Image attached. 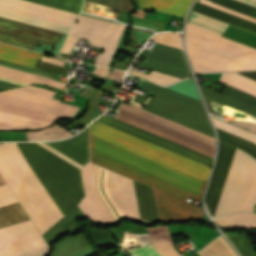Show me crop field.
Masks as SVG:
<instances>
[{"mask_svg":"<svg viewBox=\"0 0 256 256\" xmlns=\"http://www.w3.org/2000/svg\"><path fill=\"white\" fill-rule=\"evenodd\" d=\"M90 134L178 171L207 181V166L95 122ZM90 135V160L153 186L160 220L201 219L203 210L187 201L200 200L206 183Z\"/></svg>","mask_w":256,"mask_h":256,"instance_id":"obj_1","label":"crop field"},{"mask_svg":"<svg viewBox=\"0 0 256 256\" xmlns=\"http://www.w3.org/2000/svg\"><path fill=\"white\" fill-rule=\"evenodd\" d=\"M17 145L65 216L84 196L79 169L35 143ZM17 145H0V173L43 234L64 216Z\"/></svg>","mask_w":256,"mask_h":256,"instance_id":"obj_2","label":"crop field"},{"mask_svg":"<svg viewBox=\"0 0 256 256\" xmlns=\"http://www.w3.org/2000/svg\"><path fill=\"white\" fill-rule=\"evenodd\" d=\"M141 87L154 92L156 96L205 115L202 103L198 100L146 81L143 82ZM156 96L148 102L144 110L215 137L212 127L207 117H205L206 115H200ZM144 110L122 103L116 119L195 149L211 157L214 156V138ZM116 119L105 115L98 122L211 167L213 158Z\"/></svg>","mask_w":256,"mask_h":256,"instance_id":"obj_3","label":"crop field"},{"mask_svg":"<svg viewBox=\"0 0 256 256\" xmlns=\"http://www.w3.org/2000/svg\"><path fill=\"white\" fill-rule=\"evenodd\" d=\"M236 148L220 142L218 157L205 203L213 218ZM256 204V160L236 150L214 217L253 212Z\"/></svg>","mask_w":256,"mask_h":256,"instance_id":"obj_4","label":"crop field"},{"mask_svg":"<svg viewBox=\"0 0 256 256\" xmlns=\"http://www.w3.org/2000/svg\"><path fill=\"white\" fill-rule=\"evenodd\" d=\"M185 46L196 72L256 70V49L188 24Z\"/></svg>","mask_w":256,"mask_h":256,"instance_id":"obj_5","label":"crop field"},{"mask_svg":"<svg viewBox=\"0 0 256 256\" xmlns=\"http://www.w3.org/2000/svg\"><path fill=\"white\" fill-rule=\"evenodd\" d=\"M133 182L141 221L159 220L152 188L134 180ZM133 182L129 178L107 170V192L122 216L124 219L140 221Z\"/></svg>","mask_w":256,"mask_h":256,"instance_id":"obj_6","label":"crop field"},{"mask_svg":"<svg viewBox=\"0 0 256 256\" xmlns=\"http://www.w3.org/2000/svg\"><path fill=\"white\" fill-rule=\"evenodd\" d=\"M41 239L31 220L0 229V251ZM43 239L0 252V256H47Z\"/></svg>","mask_w":256,"mask_h":256,"instance_id":"obj_7","label":"crop field"},{"mask_svg":"<svg viewBox=\"0 0 256 256\" xmlns=\"http://www.w3.org/2000/svg\"><path fill=\"white\" fill-rule=\"evenodd\" d=\"M78 19L71 34L85 37L93 46L105 49L98 55L96 64L107 67L125 28L81 15Z\"/></svg>","mask_w":256,"mask_h":256,"instance_id":"obj_8","label":"crop field"},{"mask_svg":"<svg viewBox=\"0 0 256 256\" xmlns=\"http://www.w3.org/2000/svg\"><path fill=\"white\" fill-rule=\"evenodd\" d=\"M62 33L0 17V41L34 49L37 42L55 47Z\"/></svg>","mask_w":256,"mask_h":256,"instance_id":"obj_9","label":"crop field"},{"mask_svg":"<svg viewBox=\"0 0 256 256\" xmlns=\"http://www.w3.org/2000/svg\"><path fill=\"white\" fill-rule=\"evenodd\" d=\"M80 172L85 193V197L79 203L82 212L88 219L98 224L114 223V218L101 200L96 189L98 167L87 162L80 169Z\"/></svg>","mask_w":256,"mask_h":256,"instance_id":"obj_10","label":"crop field"},{"mask_svg":"<svg viewBox=\"0 0 256 256\" xmlns=\"http://www.w3.org/2000/svg\"><path fill=\"white\" fill-rule=\"evenodd\" d=\"M0 94L51 106L50 110L45 115L46 118L56 119L61 116L73 117L79 109V107L51 99L54 94L53 91L33 86L4 91L0 92Z\"/></svg>","mask_w":256,"mask_h":256,"instance_id":"obj_11","label":"crop field"},{"mask_svg":"<svg viewBox=\"0 0 256 256\" xmlns=\"http://www.w3.org/2000/svg\"><path fill=\"white\" fill-rule=\"evenodd\" d=\"M0 8L35 16L72 26L77 14L26 2L23 0H0Z\"/></svg>","mask_w":256,"mask_h":256,"instance_id":"obj_12","label":"crop field"},{"mask_svg":"<svg viewBox=\"0 0 256 256\" xmlns=\"http://www.w3.org/2000/svg\"><path fill=\"white\" fill-rule=\"evenodd\" d=\"M199 87L204 95L256 116V97L229 86L222 94L200 84Z\"/></svg>","mask_w":256,"mask_h":256,"instance_id":"obj_13","label":"crop field"},{"mask_svg":"<svg viewBox=\"0 0 256 256\" xmlns=\"http://www.w3.org/2000/svg\"><path fill=\"white\" fill-rule=\"evenodd\" d=\"M49 108L48 106L0 95V111L53 123L55 120L43 118Z\"/></svg>","mask_w":256,"mask_h":256,"instance_id":"obj_14","label":"crop field"},{"mask_svg":"<svg viewBox=\"0 0 256 256\" xmlns=\"http://www.w3.org/2000/svg\"><path fill=\"white\" fill-rule=\"evenodd\" d=\"M1 185H5V182L0 177V186ZM12 202H16V199L14 198L8 187L6 185L1 186L0 206ZM25 220H29V217L26 215L18 202L0 207V228Z\"/></svg>","mask_w":256,"mask_h":256,"instance_id":"obj_15","label":"crop field"},{"mask_svg":"<svg viewBox=\"0 0 256 256\" xmlns=\"http://www.w3.org/2000/svg\"><path fill=\"white\" fill-rule=\"evenodd\" d=\"M46 144L83 166L88 161L87 129L69 140Z\"/></svg>","mask_w":256,"mask_h":256,"instance_id":"obj_16","label":"crop field"},{"mask_svg":"<svg viewBox=\"0 0 256 256\" xmlns=\"http://www.w3.org/2000/svg\"><path fill=\"white\" fill-rule=\"evenodd\" d=\"M43 53L0 43V59L35 68Z\"/></svg>","mask_w":256,"mask_h":256,"instance_id":"obj_17","label":"crop field"},{"mask_svg":"<svg viewBox=\"0 0 256 256\" xmlns=\"http://www.w3.org/2000/svg\"><path fill=\"white\" fill-rule=\"evenodd\" d=\"M191 1L192 0H138V6L184 17Z\"/></svg>","mask_w":256,"mask_h":256,"instance_id":"obj_18","label":"crop field"},{"mask_svg":"<svg viewBox=\"0 0 256 256\" xmlns=\"http://www.w3.org/2000/svg\"><path fill=\"white\" fill-rule=\"evenodd\" d=\"M193 10L199 13L205 14L207 16L216 18L218 20L224 21L231 25L237 26L239 28L256 33V24L240 19L238 17L232 16L230 14L224 13L222 11L216 10L214 8L208 7L206 5L200 4L198 2H196Z\"/></svg>","mask_w":256,"mask_h":256,"instance_id":"obj_19","label":"crop field"},{"mask_svg":"<svg viewBox=\"0 0 256 256\" xmlns=\"http://www.w3.org/2000/svg\"><path fill=\"white\" fill-rule=\"evenodd\" d=\"M154 248L161 256H181L172 245L168 227L147 229Z\"/></svg>","mask_w":256,"mask_h":256,"instance_id":"obj_20","label":"crop field"},{"mask_svg":"<svg viewBox=\"0 0 256 256\" xmlns=\"http://www.w3.org/2000/svg\"><path fill=\"white\" fill-rule=\"evenodd\" d=\"M48 125H50V123L0 112V130L1 129H38V128L46 127Z\"/></svg>","mask_w":256,"mask_h":256,"instance_id":"obj_21","label":"crop field"},{"mask_svg":"<svg viewBox=\"0 0 256 256\" xmlns=\"http://www.w3.org/2000/svg\"><path fill=\"white\" fill-rule=\"evenodd\" d=\"M0 77H4V78L16 80V81H20L28 84L42 82V83L57 86L63 89L65 85V83L63 82L55 81L52 79L40 77L37 75L29 74L26 72L14 70V69L3 67V66H0Z\"/></svg>","mask_w":256,"mask_h":256,"instance_id":"obj_22","label":"crop field"},{"mask_svg":"<svg viewBox=\"0 0 256 256\" xmlns=\"http://www.w3.org/2000/svg\"><path fill=\"white\" fill-rule=\"evenodd\" d=\"M0 16L5 17V18H9V19H13V20H17V21H20V22L28 23V24L40 26V27H43V28L63 32V33H66V34L68 33V31L70 29V26H66V25H62V24H58V23H54V22H50V21H46V20H42V19H38V18H35V17H31V16H27V15L15 13V12L3 10V9H0Z\"/></svg>","mask_w":256,"mask_h":256,"instance_id":"obj_23","label":"crop field"},{"mask_svg":"<svg viewBox=\"0 0 256 256\" xmlns=\"http://www.w3.org/2000/svg\"><path fill=\"white\" fill-rule=\"evenodd\" d=\"M219 81L256 96V82L237 73H222Z\"/></svg>","mask_w":256,"mask_h":256,"instance_id":"obj_24","label":"crop field"},{"mask_svg":"<svg viewBox=\"0 0 256 256\" xmlns=\"http://www.w3.org/2000/svg\"><path fill=\"white\" fill-rule=\"evenodd\" d=\"M215 221L224 228H256V215L234 214Z\"/></svg>","mask_w":256,"mask_h":256,"instance_id":"obj_25","label":"crop field"},{"mask_svg":"<svg viewBox=\"0 0 256 256\" xmlns=\"http://www.w3.org/2000/svg\"><path fill=\"white\" fill-rule=\"evenodd\" d=\"M26 134L28 140H53L66 138L73 135L56 124L45 130L29 131L26 132Z\"/></svg>","mask_w":256,"mask_h":256,"instance_id":"obj_26","label":"crop field"},{"mask_svg":"<svg viewBox=\"0 0 256 256\" xmlns=\"http://www.w3.org/2000/svg\"><path fill=\"white\" fill-rule=\"evenodd\" d=\"M46 6H50L53 8L79 13L82 0H26Z\"/></svg>","mask_w":256,"mask_h":256,"instance_id":"obj_27","label":"crop field"},{"mask_svg":"<svg viewBox=\"0 0 256 256\" xmlns=\"http://www.w3.org/2000/svg\"><path fill=\"white\" fill-rule=\"evenodd\" d=\"M216 131L218 133L220 141H223L225 143H228V144H231V145L236 146L238 148H241V149L247 151L248 153H250L252 156H254L256 158V145H254L250 142H247L243 139H240L238 137H235L233 135H230L228 133H225L221 130L216 129Z\"/></svg>","mask_w":256,"mask_h":256,"instance_id":"obj_28","label":"crop field"},{"mask_svg":"<svg viewBox=\"0 0 256 256\" xmlns=\"http://www.w3.org/2000/svg\"><path fill=\"white\" fill-rule=\"evenodd\" d=\"M211 119H212V122H213L215 127H218V128H220L222 130H225V131H227L229 133H232V134H234V135H236L238 137H241V138H243L245 140H248V141L256 144V135H254V134H252L250 132H247L245 130H242L240 128H237V127H235L233 125H230L228 123H225L223 121H220V120H218L216 118L211 117Z\"/></svg>","mask_w":256,"mask_h":256,"instance_id":"obj_29","label":"crop field"},{"mask_svg":"<svg viewBox=\"0 0 256 256\" xmlns=\"http://www.w3.org/2000/svg\"><path fill=\"white\" fill-rule=\"evenodd\" d=\"M195 23L201 24L203 26L209 27L211 29L217 30L219 32L224 33L225 30L228 28L229 24L220 22L218 20L209 18L207 16L198 14L196 12H192L191 17L189 19Z\"/></svg>","mask_w":256,"mask_h":256,"instance_id":"obj_30","label":"crop field"},{"mask_svg":"<svg viewBox=\"0 0 256 256\" xmlns=\"http://www.w3.org/2000/svg\"><path fill=\"white\" fill-rule=\"evenodd\" d=\"M151 41L182 50L180 34L177 33H160L153 36Z\"/></svg>","mask_w":256,"mask_h":256,"instance_id":"obj_31","label":"crop field"},{"mask_svg":"<svg viewBox=\"0 0 256 256\" xmlns=\"http://www.w3.org/2000/svg\"><path fill=\"white\" fill-rule=\"evenodd\" d=\"M129 73L144 77L146 79L152 80V81H154L158 84H161V85H168V84L175 83L179 80H182V79L167 76V75L160 74V73L153 72V71L150 73V75H147V74H144V73H141V72H137V71H133V70H130Z\"/></svg>","mask_w":256,"mask_h":256,"instance_id":"obj_32","label":"crop field"},{"mask_svg":"<svg viewBox=\"0 0 256 256\" xmlns=\"http://www.w3.org/2000/svg\"><path fill=\"white\" fill-rule=\"evenodd\" d=\"M133 256H160L151 245L127 247Z\"/></svg>","mask_w":256,"mask_h":256,"instance_id":"obj_33","label":"crop field"},{"mask_svg":"<svg viewBox=\"0 0 256 256\" xmlns=\"http://www.w3.org/2000/svg\"><path fill=\"white\" fill-rule=\"evenodd\" d=\"M0 65L16 68V69H19V70L35 73V74H38V75H42V76H46V77H50V78H54V79L57 76L56 74H52V73H48V72H44V71H40V70L28 68V67L16 65V64L4 62V61H0Z\"/></svg>","mask_w":256,"mask_h":256,"instance_id":"obj_34","label":"crop field"},{"mask_svg":"<svg viewBox=\"0 0 256 256\" xmlns=\"http://www.w3.org/2000/svg\"><path fill=\"white\" fill-rule=\"evenodd\" d=\"M207 1H208V0H207ZM207 1H205V0H199V2H202V3H204V4H207V5H210V6H212V7L221 9V10L226 11V12H229V13H231V14L240 16V17L245 18V19H248V20H250V21L256 22V19H254V18H251V17H248V16H246V15L240 14V13H238V12L229 10V9H227V8L218 6V5H216V4L210 3L211 1H210V2H207ZM239 1L248 3V4L253 5V6H256V1H254V0H239Z\"/></svg>","mask_w":256,"mask_h":256,"instance_id":"obj_35","label":"crop field"},{"mask_svg":"<svg viewBox=\"0 0 256 256\" xmlns=\"http://www.w3.org/2000/svg\"><path fill=\"white\" fill-rule=\"evenodd\" d=\"M79 211H81V210L78 208V206L76 208H74L70 213H68L64 218H62L58 223H56L52 228H50L46 233H44L42 235L43 238L46 237L48 234H50L52 231H54L56 228H58L60 225L65 223L67 220H69L71 217H73Z\"/></svg>","mask_w":256,"mask_h":256,"instance_id":"obj_36","label":"crop field"},{"mask_svg":"<svg viewBox=\"0 0 256 256\" xmlns=\"http://www.w3.org/2000/svg\"><path fill=\"white\" fill-rule=\"evenodd\" d=\"M78 38L77 37H74V36H68L61 52L62 53H68V54H71L76 42H77Z\"/></svg>","mask_w":256,"mask_h":256,"instance_id":"obj_37","label":"crop field"},{"mask_svg":"<svg viewBox=\"0 0 256 256\" xmlns=\"http://www.w3.org/2000/svg\"><path fill=\"white\" fill-rule=\"evenodd\" d=\"M41 146H43L44 148L48 149L49 151L53 152L54 154L58 155L59 157H61L62 159L66 160L67 162L71 163L72 165H74L77 168H81L83 166L79 165L78 163L74 162L73 160L69 159L68 157L64 156L63 154L59 153L58 151L54 150L53 148L49 147L48 145L44 144V143H38Z\"/></svg>","mask_w":256,"mask_h":256,"instance_id":"obj_38","label":"crop field"},{"mask_svg":"<svg viewBox=\"0 0 256 256\" xmlns=\"http://www.w3.org/2000/svg\"><path fill=\"white\" fill-rule=\"evenodd\" d=\"M109 71H110V69L98 67L97 70L94 72V74H97V75L105 78L107 76V74L109 73Z\"/></svg>","mask_w":256,"mask_h":256,"instance_id":"obj_39","label":"crop field"},{"mask_svg":"<svg viewBox=\"0 0 256 256\" xmlns=\"http://www.w3.org/2000/svg\"><path fill=\"white\" fill-rule=\"evenodd\" d=\"M42 61H46V62H50V63L62 65V66H64L65 64L64 61L56 60V59L45 57V56H43Z\"/></svg>","mask_w":256,"mask_h":256,"instance_id":"obj_40","label":"crop field"},{"mask_svg":"<svg viewBox=\"0 0 256 256\" xmlns=\"http://www.w3.org/2000/svg\"><path fill=\"white\" fill-rule=\"evenodd\" d=\"M0 87L10 89V88L20 87V86L0 81Z\"/></svg>","mask_w":256,"mask_h":256,"instance_id":"obj_41","label":"crop field"},{"mask_svg":"<svg viewBox=\"0 0 256 256\" xmlns=\"http://www.w3.org/2000/svg\"><path fill=\"white\" fill-rule=\"evenodd\" d=\"M239 74H242L246 77L256 80V72H241Z\"/></svg>","mask_w":256,"mask_h":256,"instance_id":"obj_42","label":"crop field"},{"mask_svg":"<svg viewBox=\"0 0 256 256\" xmlns=\"http://www.w3.org/2000/svg\"><path fill=\"white\" fill-rule=\"evenodd\" d=\"M189 24L194 25V26H197V27H199V28L205 29V30H207V31H210V32H212V33H215V34H218V35L222 36V33H219V32H216V31H213V30H210V29H207V28H205V27H202V26H199V25L190 23V22H189Z\"/></svg>","mask_w":256,"mask_h":256,"instance_id":"obj_43","label":"crop field"},{"mask_svg":"<svg viewBox=\"0 0 256 256\" xmlns=\"http://www.w3.org/2000/svg\"><path fill=\"white\" fill-rule=\"evenodd\" d=\"M0 80L6 81V82H10V83H14V84H18V85H22V86L27 85V84H23V83L15 82V81H11V80H7V79H3V78H0Z\"/></svg>","mask_w":256,"mask_h":256,"instance_id":"obj_44","label":"crop field"},{"mask_svg":"<svg viewBox=\"0 0 256 256\" xmlns=\"http://www.w3.org/2000/svg\"><path fill=\"white\" fill-rule=\"evenodd\" d=\"M132 104H135V103L132 102ZM135 105H137V104H135ZM137 106H140V105H137ZM140 107H142V106H140Z\"/></svg>","mask_w":256,"mask_h":256,"instance_id":"obj_45","label":"crop field"},{"mask_svg":"<svg viewBox=\"0 0 256 256\" xmlns=\"http://www.w3.org/2000/svg\"><path fill=\"white\" fill-rule=\"evenodd\" d=\"M4 90H5V89H1V88H0V91H4Z\"/></svg>","mask_w":256,"mask_h":256,"instance_id":"obj_46","label":"crop field"}]
</instances>
